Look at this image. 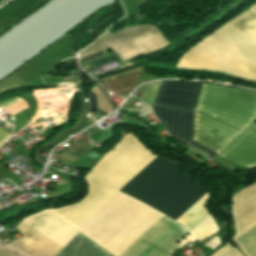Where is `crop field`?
<instances>
[{
	"label": "crop field",
	"mask_w": 256,
	"mask_h": 256,
	"mask_svg": "<svg viewBox=\"0 0 256 256\" xmlns=\"http://www.w3.org/2000/svg\"><path fill=\"white\" fill-rule=\"evenodd\" d=\"M152 156L126 135L85 176L89 192L84 200L48 211L116 256L163 214L171 218L206 190L162 158L153 157L135 174ZM208 199L205 191L171 218L187 228L193 241L218 231L205 208ZM168 217L163 215L117 256H168L191 241L188 234L177 243L188 232Z\"/></svg>",
	"instance_id": "8a807250"
},
{
	"label": "crop field",
	"mask_w": 256,
	"mask_h": 256,
	"mask_svg": "<svg viewBox=\"0 0 256 256\" xmlns=\"http://www.w3.org/2000/svg\"><path fill=\"white\" fill-rule=\"evenodd\" d=\"M175 68L256 81V4L189 49Z\"/></svg>",
	"instance_id": "ac0d7876"
},
{
	"label": "crop field",
	"mask_w": 256,
	"mask_h": 256,
	"mask_svg": "<svg viewBox=\"0 0 256 256\" xmlns=\"http://www.w3.org/2000/svg\"><path fill=\"white\" fill-rule=\"evenodd\" d=\"M202 83L162 82L154 104L194 110ZM194 111L243 131L256 120V94L203 84Z\"/></svg>",
	"instance_id": "34b2d1b8"
},
{
	"label": "crop field",
	"mask_w": 256,
	"mask_h": 256,
	"mask_svg": "<svg viewBox=\"0 0 256 256\" xmlns=\"http://www.w3.org/2000/svg\"><path fill=\"white\" fill-rule=\"evenodd\" d=\"M22 222L62 247L78 232L46 210L27 217ZM24 223L16 228L25 236L7 244L8 247L25 256H55L62 249ZM56 256L112 255L78 232Z\"/></svg>",
	"instance_id": "412701ff"
},
{
	"label": "crop field",
	"mask_w": 256,
	"mask_h": 256,
	"mask_svg": "<svg viewBox=\"0 0 256 256\" xmlns=\"http://www.w3.org/2000/svg\"><path fill=\"white\" fill-rule=\"evenodd\" d=\"M153 107L157 117L175 139L189 147L193 145L214 157L240 134V132L200 113L196 114L195 112L169 107ZM187 136L218 154L188 139Z\"/></svg>",
	"instance_id": "f4fd0767"
},
{
	"label": "crop field",
	"mask_w": 256,
	"mask_h": 256,
	"mask_svg": "<svg viewBox=\"0 0 256 256\" xmlns=\"http://www.w3.org/2000/svg\"><path fill=\"white\" fill-rule=\"evenodd\" d=\"M125 29L113 36L107 31L96 42L79 52V56L82 57L100 49L105 51L112 48L120 59L124 61L156 49L168 42L155 27L149 25L128 27ZM102 50L80 58V62L82 63L104 55Z\"/></svg>",
	"instance_id": "dd49c442"
},
{
	"label": "crop field",
	"mask_w": 256,
	"mask_h": 256,
	"mask_svg": "<svg viewBox=\"0 0 256 256\" xmlns=\"http://www.w3.org/2000/svg\"><path fill=\"white\" fill-rule=\"evenodd\" d=\"M235 235L232 240L256 225V182L231 199ZM247 256H256V226L234 241ZM212 256H242L227 244Z\"/></svg>",
	"instance_id": "e52e79f7"
},
{
	"label": "crop field",
	"mask_w": 256,
	"mask_h": 256,
	"mask_svg": "<svg viewBox=\"0 0 256 256\" xmlns=\"http://www.w3.org/2000/svg\"><path fill=\"white\" fill-rule=\"evenodd\" d=\"M220 157L242 167L256 166V124L243 132Z\"/></svg>",
	"instance_id": "d8731c3e"
},
{
	"label": "crop field",
	"mask_w": 256,
	"mask_h": 256,
	"mask_svg": "<svg viewBox=\"0 0 256 256\" xmlns=\"http://www.w3.org/2000/svg\"><path fill=\"white\" fill-rule=\"evenodd\" d=\"M13 98H16V97H11V98H9V99H6V100L0 102V104L6 102V101H8V100H11V99H13ZM20 100H22V99L16 98V99H14V100L8 101V102H6V103L0 105V108L3 109V108H5V107H7V106H9V105H11V104H14V103L20 101ZM26 108H28V104L26 103V101L22 100V101H20V102L14 104V105H11V106H9V107L3 109V110L6 111V112H8V113H10V114H12V115H14V114L20 112L21 110L26 109ZM12 115H11V116H12ZM8 134H9V133H7L6 131H4L3 129L0 128V141H2Z\"/></svg>",
	"instance_id": "5a996713"
},
{
	"label": "crop field",
	"mask_w": 256,
	"mask_h": 256,
	"mask_svg": "<svg viewBox=\"0 0 256 256\" xmlns=\"http://www.w3.org/2000/svg\"><path fill=\"white\" fill-rule=\"evenodd\" d=\"M220 244H221L220 240L217 237H215L210 242H208L205 246H208L214 249Z\"/></svg>",
	"instance_id": "3316defc"
},
{
	"label": "crop field",
	"mask_w": 256,
	"mask_h": 256,
	"mask_svg": "<svg viewBox=\"0 0 256 256\" xmlns=\"http://www.w3.org/2000/svg\"><path fill=\"white\" fill-rule=\"evenodd\" d=\"M0 256H18L7 249H5L1 244H0Z\"/></svg>",
	"instance_id": "28ad6ade"
}]
</instances>
